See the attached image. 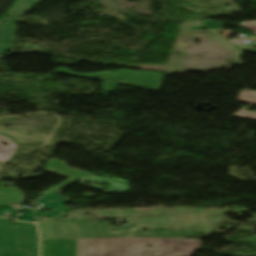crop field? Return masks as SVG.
I'll return each instance as SVG.
<instances>
[{
	"label": "crop field",
	"mask_w": 256,
	"mask_h": 256,
	"mask_svg": "<svg viewBox=\"0 0 256 256\" xmlns=\"http://www.w3.org/2000/svg\"><path fill=\"white\" fill-rule=\"evenodd\" d=\"M199 245H196V243ZM153 245L149 248L147 245ZM198 239L100 238L78 239L77 256H189Z\"/></svg>",
	"instance_id": "8a807250"
},
{
	"label": "crop field",
	"mask_w": 256,
	"mask_h": 256,
	"mask_svg": "<svg viewBox=\"0 0 256 256\" xmlns=\"http://www.w3.org/2000/svg\"><path fill=\"white\" fill-rule=\"evenodd\" d=\"M90 217H84V220L65 219L61 223L48 220L38 224L41 231L42 239L48 238H99V237H126L128 233H133L134 237H173L178 238L179 234L184 236H198V233H184L174 231H147L144 232L141 228L130 226L127 233L108 234V223H88ZM70 220V221H67ZM80 222V223H78ZM88 223V225H86ZM122 229V228H120ZM134 229V231H131ZM172 232V233H170ZM153 233V235H151ZM174 233V235H173ZM159 234V235H157Z\"/></svg>",
	"instance_id": "ac0d7876"
},
{
	"label": "crop field",
	"mask_w": 256,
	"mask_h": 256,
	"mask_svg": "<svg viewBox=\"0 0 256 256\" xmlns=\"http://www.w3.org/2000/svg\"><path fill=\"white\" fill-rule=\"evenodd\" d=\"M0 256H38L35 224L0 218Z\"/></svg>",
	"instance_id": "34b2d1b8"
},
{
	"label": "crop field",
	"mask_w": 256,
	"mask_h": 256,
	"mask_svg": "<svg viewBox=\"0 0 256 256\" xmlns=\"http://www.w3.org/2000/svg\"><path fill=\"white\" fill-rule=\"evenodd\" d=\"M57 72L73 76L105 80L103 89L106 92L114 91L117 84L128 85L134 87L145 88L146 90L157 91L164 74L148 71H140L137 74H132V71H115L116 75L112 72L108 73H95V74H75L66 69H58ZM105 76H108L107 78ZM109 79L110 81H107ZM121 80L122 82H118Z\"/></svg>",
	"instance_id": "412701ff"
},
{
	"label": "crop field",
	"mask_w": 256,
	"mask_h": 256,
	"mask_svg": "<svg viewBox=\"0 0 256 256\" xmlns=\"http://www.w3.org/2000/svg\"><path fill=\"white\" fill-rule=\"evenodd\" d=\"M76 248L77 239L42 240V256H76Z\"/></svg>",
	"instance_id": "f4fd0767"
},
{
	"label": "crop field",
	"mask_w": 256,
	"mask_h": 256,
	"mask_svg": "<svg viewBox=\"0 0 256 256\" xmlns=\"http://www.w3.org/2000/svg\"><path fill=\"white\" fill-rule=\"evenodd\" d=\"M98 174H100V173H98ZM101 175H103V174H101ZM104 176H105L104 179H101L99 177L91 175V176L81 179L80 184L88 186V187L96 188L99 190H101L103 188V186L96 185V184H94L95 182L100 183V184L106 183V184L111 185L110 187H108V190L105 192L123 193L124 191L130 189L125 180H121V179H117V178H113V177H111L112 179H109V178H107L108 177L107 175H104ZM85 181L92 182L93 184L92 185L86 184V183H84ZM104 188H106V187H104Z\"/></svg>",
	"instance_id": "dd49c442"
},
{
	"label": "crop field",
	"mask_w": 256,
	"mask_h": 256,
	"mask_svg": "<svg viewBox=\"0 0 256 256\" xmlns=\"http://www.w3.org/2000/svg\"><path fill=\"white\" fill-rule=\"evenodd\" d=\"M18 20L19 17L2 19L0 27V54L5 53L11 47L15 25Z\"/></svg>",
	"instance_id": "e52e79f7"
},
{
	"label": "crop field",
	"mask_w": 256,
	"mask_h": 256,
	"mask_svg": "<svg viewBox=\"0 0 256 256\" xmlns=\"http://www.w3.org/2000/svg\"><path fill=\"white\" fill-rule=\"evenodd\" d=\"M251 96H254V98H250ZM238 101L251 103V104L256 105V92L243 90V91L239 92ZM249 107H244L243 109H241L239 112H237L233 116L242 117V118H249V119H256V113L245 111Z\"/></svg>",
	"instance_id": "d8731c3e"
},
{
	"label": "crop field",
	"mask_w": 256,
	"mask_h": 256,
	"mask_svg": "<svg viewBox=\"0 0 256 256\" xmlns=\"http://www.w3.org/2000/svg\"><path fill=\"white\" fill-rule=\"evenodd\" d=\"M28 1L29 0H17L7 16L23 15V13L27 11L36 0Z\"/></svg>",
	"instance_id": "5a996713"
},
{
	"label": "crop field",
	"mask_w": 256,
	"mask_h": 256,
	"mask_svg": "<svg viewBox=\"0 0 256 256\" xmlns=\"http://www.w3.org/2000/svg\"><path fill=\"white\" fill-rule=\"evenodd\" d=\"M3 140L6 141L9 144V146L2 145L1 142ZM14 146V143L9 137L0 135V162L9 158L11 153L15 150Z\"/></svg>",
	"instance_id": "3316defc"
},
{
	"label": "crop field",
	"mask_w": 256,
	"mask_h": 256,
	"mask_svg": "<svg viewBox=\"0 0 256 256\" xmlns=\"http://www.w3.org/2000/svg\"><path fill=\"white\" fill-rule=\"evenodd\" d=\"M222 23L220 22H214L211 20H207L206 25H204L203 27H194V28H190L192 30L197 29V30H202V29H211V28H218V27H222Z\"/></svg>",
	"instance_id": "28ad6ade"
},
{
	"label": "crop field",
	"mask_w": 256,
	"mask_h": 256,
	"mask_svg": "<svg viewBox=\"0 0 256 256\" xmlns=\"http://www.w3.org/2000/svg\"><path fill=\"white\" fill-rule=\"evenodd\" d=\"M241 27H244L246 29L253 31L256 36V22H249Z\"/></svg>",
	"instance_id": "d1516ede"
},
{
	"label": "crop field",
	"mask_w": 256,
	"mask_h": 256,
	"mask_svg": "<svg viewBox=\"0 0 256 256\" xmlns=\"http://www.w3.org/2000/svg\"><path fill=\"white\" fill-rule=\"evenodd\" d=\"M83 193H84V192H83ZM93 195H94V194L87 192V193H84V194L80 195L79 197L88 199V198H90V197L93 196Z\"/></svg>",
	"instance_id": "22f410ed"
},
{
	"label": "crop field",
	"mask_w": 256,
	"mask_h": 256,
	"mask_svg": "<svg viewBox=\"0 0 256 256\" xmlns=\"http://www.w3.org/2000/svg\"><path fill=\"white\" fill-rule=\"evenodd\" d=\"M247 241L256 243V237L255 236H250V237H248Z\"/></svg>",
	"instance_id": "cbeb9de0"
},
{
	"label": "crop field",
	"mask_w": 256,
	"mask_h": 256,
	"mask_svg": "<svg viewBox=\"0 0 256 256\" xmlns=\"http://www.w3.org/2000/svg\"><path fill=\"white\" fill-rule=\"evenodd\" d=\"M222 34L224 35V37L226 38V40H228V35H229V32H222Z\"/></svg>",
	"instance_id": "5142ce71"
},
{
	"label": "crop field",
	"mask_w": 256,
	"mask_h": 256,
	"mask_svg": "<svg viewBox=\"0 0 256 256\" xmlns=\"http://www.w3.org/2000/svg\"><path fill=\"white\" fill-rule=\"evenodd\" d=\"M65 215H59V216H56V217H53V218H62L64 217Z\"/></svg>",
	"instance_id": "d9b57169"
},
{
	"label": "crop field",
	"mask_w": 256,
	"mask_h": 256,
	"mask_svg": "<svg viewBox=\"0 0 256 256\" xmlns=\"http://www.w3.org/2000/svg\"><path fill=\"white\" fill-rule=\"evenodd\" d=\"M251 52H255L256 53V50H252Z\"/></svg>",
	"instance_id": "733c2abd"
}]
</instances>
